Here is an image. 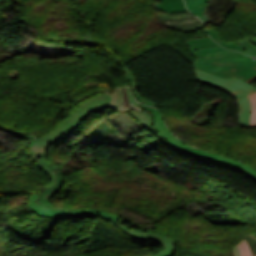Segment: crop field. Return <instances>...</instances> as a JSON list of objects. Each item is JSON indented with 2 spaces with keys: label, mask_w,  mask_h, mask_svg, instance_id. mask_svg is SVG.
<instances>
[{
  "label": "crop field",
  "mask_w": 256,
  "mask_h": 256,
  "mask_svg": "<svg viewBox=\"0 0 256 256\" xmlns=\"http://www.w3.org/2000/svg\"><path fill=\"white\" fill-rule=\"evenodd\" d=\"M194 67L222 76L246 80L256 75V59L245 56L231 61H212L197 58Z\"/></svg>",
  "instance_id": "8a807250"
},
{
  "label": "crop field",
  "mask_w": 256,
  "mask_h": 256,
  "mask_svg": "<svg viewBox=\"0 0 256 256\" xmlns=\"http://www.w3.org/2000/svg\"><path fill=\"white\" fill-rule=\"evenodd\" d=\"M126 91L128 93L129 96V100L130 102H132L135 106L138 105V103L135 101V99L133 98L129 87H126ZM140 105V104H139ZM142 108H144V110L150 111L154 114L155 117V128L158 130L159 133H161V135H163V137L167 138L168 140H170L172 143H174L179 149L188 151L190 153L193 154H197V155H201L203 156L204 159H213L216 162L219 163H223V164H231L232 166H236L238 168H241L243 170L248 171L251 174H254L256 176V169L249 167L245 164H242L240 162L234 161L232 159L226 158V157H221L220 155H216V154H212L209 152H205V151H200L194 148H191L185 144H183L181 141H179L178 139H176L170 132L169 130L166 128L163 118L161 116V114L158 112V110L153 109L151 107H147V106H143L140 105Z\"/></svg>",
  "instance_id": "ac0d7876"
},
{
  "label": "crop field",
  "mask_w": 256,
  "mask_h": 256,
  "mask_svg": "<svg viewBox=\"0 0 256 256\" xmlns=\"http://www.w3.org/2000/svg\"><path fill=\"white\" fill-rule=\"evenodd\" d=\"M196 78L202 82L208 83L213 86H217L235 97L249 94L256 91V88L250 86L237 78H222L202 70L195 68Z\"/></svg>",
  "instance_id": "34b2d1b8"
},
{
  "label": "crop field",
  "mask_w": 256,
  "mask_h": 256,
  "mask_svg": "<svg viewBox=\"0 0 256 256\" xmlns=\"http://www.w3.org/2000/svg\"><path fill=\"white\" fill-rule=\"evenodd\" d=\"M50 145L51 144L44 142L38 138H35L33 141H31L28 144V154L34 160V162L37 164V166H39L40 169L42 171H44L50 177L51 182L45 189L50 188L55 185L56 174H55V172L50 171V168L40 164L38 162V159L45 156V154L47 153V149Z\"/></svg>",
  "instance_id": "412701ff"
},
{
  "label": "crop field",
  "mask_w": 256,
  "mask_h": 256,
  "mask_svg": "<svg viewBox=\"0 0 256 256\" xmlns=\"http://www.w3.org/2000/svg\"><path fill=\"white\" fill-rule=\"evenodd\" d=\"M187 44L191 46L190 51L195 56L202 58V59L231 60V59H235V58H238L241 56H245V55L239 54V53H221V54H216V55H200L194 51L199 48L218 46V44L213 42L210 37L190 40V41H187Z\"/></svg>",
  "instance_id": "f4fd0767"
},
{
  "label": "crop field",
  "mask_w": 256,
  "mask_h": 256,
  "mask_svg": "<svg viewBox=\"0 0 256 256\" xmlns=\"http://www.w3.org/2000/svg\"><path fill=\"white\" fill-rule=\"evenodd\" d=\"M110 92V91H109ZM112 98L108 94V92H105L103 94H99L88 101H86L84 104H82L80 107H78L76 110L71 112L69 115L74 117L75 119L79 120L92 112L95 109H101L102 107L106 106L111 102Z\"/></svg>",
  "instance_id": "dd49c442"
},
{
  "label": "crop field",
  "mask_w": 256,
  "mask_h": 256,
  "mask_svg": "<svg viewBox=\"0 0 256 256\" xmlns=\"http://www.w3.org/2000/svg\"><path fill=\"white\" fill-rule=\"evenodd\" d=\"M91 25H92V23L89 22V26H88L89 34L87 35L86 38H83V40L88 42L87 45H97V42H96V40L94 39V37L92 35ZM97 46H100V45H97ZM100 47H102V46H100ZM106 51H108V50H106ZM108 52H110V51H108ZM110 53L112 54L113 59L115 61H117L118 63H120V61L118 60L117 56L115 54H113L112 52H110ZM120 65L126 71L128 85L131 86L132 92H133L134 96L136 97L137 101L138 102H142V103L147 104V105H151V106H155L156 107V104H154L151 101H149V100H147V99H145V98L140 96L133 74L128 70V68L125 65H122L121 63H120Z\"/></svg>",
  "instance_id": "e52e79f7"
},
{
  "label": "crop field",
  "mask_w": 256,
  "mask_h": 256,
  "mask_svg": "<svg viewBox=\"0 0 256 256\" xmlns=\"http://www.w3.org/2000/svg\"><path fill=\"white\" fill-rule=\"evenodd\" d=\"M78 123L79 122L75 119L68 117L63 123L60 124V126L55 131L44 137H41L40 139H43L54 145L60 139H64L71 132H73V130L77 128Z\"/></svg>",
  "instance_id": "d8731c3e"
},
{
  "label": "crop field",
  "mask_w": 256,
  "mask_h": 256,
  "mask_svg": "<svg viewBox=\"0 0 256 256\" xmlns=\"http://www.w3.org/2000/svg\"><path fill=\"white\" fill-rule=\"evenodd\" d=\"M37 199V195H31L30 207L31 210L42 216H52L60 218H76L81 217L82 210H62V211H52L46 207L34 204L33 200Z\"/></svg>",
  "instance_id": "5a996713"
},
{
  "label": "crop field",
  "mask_w": 256,
  "mask_h": 256,
  "mask_svg": "<svg viewBox=\"0 0 256 256\" xmlns=\"http://www.w3.org/2000/svg\"><path fill=\"white\" fill-rule=\"evenodd\" d=\"M125 232L134 238L149 239V240H154L156 242L161 243L164 247V251L158 256H171L175 249V246L172 240L166 236L134 232V231H125Z\"/></svg>",
  "instance_id": "3316defc"
},
{
  "label": "crop field",
  "mask_w": 256,
  "mask_h": 256,
  "mask_svg": "<svg viewBox=\"0 0 256 256\" xmlns=\"http://www.w3.org/2000/svg\"><path fill=\"white\" fill-rule=\"evenodd\" d=\"M237 104L239 106V118H238V124L239 126L243 127H249V121H250V110H251V104L250 99L248 95L238 98Z\"/></svg>",
  "instance_id": "28ad6ade"
},
{
  "label": "crop field",
  "mask_w": 256,
  "mask_h": 256,
  "mask_svg": "<svg viewBox=\"0 0 256 256\" xmlns=\"http://www.w3.org/2000/svg\"><path fill=\"white\" fill-rule=\"evenodd\" d=\"M160 4H155L159 9L169 13L186 12L183 0H162Z\"/></svg>",
  "instance_id": "d1516ede"
},
{
  "label": "crop field",
  "mask_w": 256,
  "mask_h": 256,
  "mask_svg": "<svg viewBox=\"0 0 256 256\" xmlns=\"http://www.w3.org/2000/svg\"><path fill=\"white\" fill-rule=\"evenodd\" d=\"M62 184H63V179H62V175L59 171V174L57 176V185L55 187H53L52 189H48V190L44 191L38 202L53 208V206L49 203V201H50L51 197L53 195H55L60 190Z\"/></svg>",
  "instance_id": "22f410ed"
},
{
  "label": "crop field",
  "mask_w": 256,
  "mask_h": 256,
  "mask_svg": "<svg viewBox=\"0 0 256 256\" xmlns=\"http://www.w3.org/2000/svg\"><path fill=\"white\" fill-rule=\"evenodd\" d=\"M208 0H185L187 8L196 16L201 18L203 9Z\"/></svg>",
  "instance_id": "cbeb9de0"
},
{
  "label": "crop field",
  "mask_w": 256,
  "mask_h": 256,
  "mask_svg": "<svg viewBox=\"0 0 256 256\" xmlns=\"http://www.w3.org/2000/svg\"><path fill=\"white\" fill-rule=\"evenodd\" d=\"M85 216H96V217H103V218H107L110 221H112L113 223H115L117 225L118 222V217L106 213V212H102V211H98V210H87V209H83V214L82 217ZM118 226V225H117ZM119 227V226H118ZM122 230H128L127 227H120Z\"/></svg>",
  "instance_id": "5142ce71"
},
{
  "label": "crop field",
  "mask_w": 256,
  "mask_h": 256,
  "mask_svg": "<svg viewBox=\"0 0 256 256\" xmlns=\"http://www.w3.org/2000/svg\"><path fill=\"white\" fill-rule=\"evenodd\" d=\"M209 35L220 45L226 48L238 50L247 53L245 50H243L241 47H239L236 43L231 44H225L224 41L221 39V37L215 32V30L206 29Z\"/></svg>",
  "instance_id": "d9b57169"
},
{
  "label": "crop field",
  "mask_w": 256,
  "mask_h": 256,
  "mask_svg": "<svg viewBox=\"0 0 256 256\" xmlns=\"http://www.w3.org/2000/svg\"><path fill=\"white\" fill-rule=\"evenodd\" d=\"M134 118H136L141 125L145 127H151L152 126V121H151V116L149 114L143 113V112H137V111H132L129 112Z\"/></svg>",
  "instance_id": "733c2abd"
},
{
  "label": "crop field",
  "mask_w": 256,
  "mask_h": 256,
  "mask_svg": "<svg viewBox=\"0 0 256 256\" xmlns=\"http://www.w3.org/2000/svg\"><path fill=\"white\" fill-rule=\"evenodd\" d=\"M252 103L250 126H256V92L249 94Z\"/></svg>",
  "instance_id": "4a817a6b"
},
{
  "label": "crop field",
  "mask_w": 256,
  "mask_h": 256,
  "mask_svg": "<svg viewBox=\"0 0 256 256\" xmlns=\"http://www.w3.org/2000/svg\"><path fill=\"white\" fill-rule=\"evenodd\" d=\"M196 51L200 54H216V53H220V52H235V51H231V50H226V49L222 48L221 46L213 47V48L200 49V50H196Z\"/></svg>",
  "instance_id": "bc2a9ffb"
},
{
  "label": "crop field",
  "mask_w": 256,
  "mask_h": 256,
  "mask_svg": "<svg viewBox=\"0 0 256 256\" xmlns=\"http://www.w3.org/2000/svg\"><path fill=\"white\" fill-rule=\"evenodd\" d=\"M237 44L244 48L249 55L256 56V49L247 40L237 42Z\"/></svg>",
  "instance_id": "214f88e0"
},
{
  "label": "crop field",
  "mask_w": 256,
  "mask_h": 256,
  "mask_svg": "<svg viewBox=\"0 0 256 256\" xmlns=\"http://www.w3.org/2000/svg\"><path fill=\"white\" fill-rule=\"evenodd\" d=\"M240 256H252L247 243L243 240L238 245Z\"/></svg>",
  "instance_id": "92a150f3"
},
{
  "label": "crop field",
  "mask_w": 256,
  "mask_h": 256,
  "mask_svg": "<svg viewBox=\"0 0 256 256\" xmlns=\"http://www.w3.org/2000/svg\"><path fill=\"white\" fill-rule=\"evenodd\" d=\"M225 167H227V166H225ZM229 169H232V170H236V171H239V170H237V169H234V168H230V167H228ZM239 172H241V173H244V174H246V175H249V174H247V173H245V172H243V171H239ZM250 177L252 178V180H254L253 179V177L250 175ZM255 182H256V180H254Z\"/></svg>",
  "instance_id": "dafd665d"
},
{
  "label": "crop field",
  "mask_w": 256,
  "mask_h": 256,
  "mask_svg": "<svg viewBox=\"0 0 256 256\" xmlns=\"http://www.w3.org/2000/svg\"><path fill=\"white\" fill-rule=\"evenodd\" d=\"M234 255H235V256H239V252H238L237 246H236V248H235V250H234Z\"/></svg>",
  "instance_id": "00972430"
},
{
  "label": "crop field",
  "mask_w": 256,
  "mask_h": 256,
  "mask_svg": "<svg viewBox=\"0 0 256 256\" xmlns=\"http://www.w3.org/2000/svg\"><path fill=\"white\" fill-rule=\"evenodd\" d=\"M251 42H253L256 45V38L249 39Z\"/></svg>",
  "instance_id": "a9b5d70f"
},
{
  "label": "crop field",
  "mask_w": 256,
  "mask_h": 256,
  "mask_svg": "<svg viewBox=\"0 0 256 256\" xmlns=\"http://www.w3.org/2000/svg\"><path fill=\"white\" fill-rule=\"evenodd\" d=\"M253 34H255V35H256V32H255V33H253Z\"/></svg>",
  "instance_id": "4177f3b9"
}]
</instances>
